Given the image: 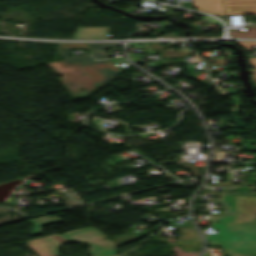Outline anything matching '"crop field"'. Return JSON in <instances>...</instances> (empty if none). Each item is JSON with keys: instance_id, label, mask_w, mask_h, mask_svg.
<instances>
[{"instance_id": "crop-field-1", "label": "crop field", "mask_w": 256, "mask_h": 256, "mask_svg": "<svg viewBox=\"0 0 256 256\" xmlns=\"http://www.w3.org/2000/svg\"><path fill=\"white\" fill-rule=\"evenodd\" d=\"M46 65L61 75V83L74 97L89 94L121 73L110 59L93 61L87 54Z\"/></svg>"}, {"instance_id": "crop-field-2", "label": "crop field", "mask_w": 256, "mask_h": 256, "mask_svg": "<svg viewBox=\"0 0 256 256\" xmlns=\"http://www.w3.org/2000/svg\"><path fill=\"white\" fill-rule=\"evenodd\" d=\"M117 43H103V44H91V43H78V44H66L60 43L59 53L63 59L70 58L71 56L67 53L72 48H80L89 51L96 59L107 58L106 53L103 51L104 48L115 47Z\"/></svg>"}, {"instance_id": "crop-field-3", "label": "crop field", "mask_w": 256, "mask_h": 256, "mask_svg": "<svg viewBox=\"0 0 256 256\" xmlns=\"http://www.w3.org/2000/svg\"><path fill=\"white\" fill-rule=\"evenodd\" d=\"M226 15L256 14V0H224Z\"/></svg>"}, {"instance_id": "crop-field-4", "label": "crop field", "mask_w": 256, "mask_h": 256, "mask_svg": "<svg viewBox=\"0 0 256 256\" xmlns=\"http://www.w3.org/2000/svg\"><path fill=\"white\" fill-rule=\"evenodd\" d=\"M109 26L77 27L72 39H104Z\"/></svg>"}, {"instance_id": "crop-field-5", "label": "crop field", "mask_w": 256, "mask_h": 256, "mask_svg": "<svg viewBox=\"0 0 256 256\" xmlns=\"http://www.w3.org/2000/svg\"><path fill=\"white\" fill-rule=\"evenodd\" d=\"M193 7L214 15H225L223 0H193Z\"/></svg>"}, {"instance_id": "crop-field-6", "label": "crop field", "mask_w": 256, "mask_h": 256, "mask_svg": "<svg viewBox=\"0 0 256 256\" xmlns=\"http://www.w3.org/2000/svg\"><path fill=\"white\" fill-rule=\"evenodd\" d=\"M30 221L34 225V228H33L32 232L30 234V235H32V234L41 233V226L43 224L57 223V222H61L62 220L60 218L56 217V216L51 217V218H49L47 216H44V217H38V218L31 219Z\"/></svg>"}, {"instance_id": "crop-field-7", "label": "crop field", "mask_w": 256, "mask_h": 256, "mask_svg": "<svg viewBox=\"0 0 256 256\" xmlns=\"http://www.w3.org/2000/svg\"><path fill=\"white\" fill-rule=\"evenodd\" d=\"M247 31H240V30H234L230 29V36L235 37H256V25H246ZM244 33H247V35H244Z\"/></svg>"}, {"instance_id": "crop-field-8", "label": "crop field", "mask_w": 256, "mask_h": 256, "mask_svg": "<svg viewBox=\"0 0 256 256\" xmlns=\"http://www.w3.org/2000/svg\"><path fill=\"white\" fill-rule=\"evenodd\" d=\"M233 44H237L248 50V45H256V41H242V42H233Z\"/></svg>"}, {"instance_id": "crop-field-9", "label": "crop field", "mask_w": 256, "mask_h": 256, "mask_svg": "<svg viewBox=\"0 0 256 256\" xmlns=\"http://www.w3.org/2000/svg\"><path fill=\"white\" fill-rule=\"evenodd\" d=\"M254 69H250L252 79H256V66H252Z\"/></svg>"}, {"instance_id": "crop-field-10", "label": "crop field", "mask_w": 256, "mask_h": 256, "mask_svg": "<svg viewBox=\"0 0 256 256\" xmlns=\"http://www.w3.org/2000/svg\"><path fill=\"white\" fill-rule=\"evenodd\" d=\"M249 65H256V58H248Z\"/></svg>"}, {"instance_id": "crop-field-11", "label": "crop field", "mask_w": 256, "mask_h": 256, "mask_svg": "<svg viewBox=\"0 0 256 256\" xmlns=\"http://www.w3.org/2000/svg\"><path fill=\"white\" fill-rule=\"evenodd\" d=\"M249 256H256V254H253V255H249Z\"/></svg>"}]
</instances>
